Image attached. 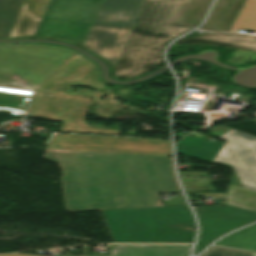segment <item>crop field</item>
I'll list each match as a JSON object with an SVG mask.
<instances>
[{
	"label": "crop field",
	"mask_w": 256,
	"mask_h": 256,
	"mask_svg": "<svg viewBox=\"0 0 256 256\" xmlns=\"http://www.w3.org/2000/svg\"><path fill=\"white\" fill-rule=\"evenodd\" d=\"M42 158L61 166L70 212L163 206L157 193L180 191L169 157L47 150Z\"/></svg>",
	"instance_id": "1"
},
{
	"label": "crop field",
	"mask_w": 256,
	"mask_h": 256,
	"mask_svg": "<svg viewBox=\"0 0 256 256\" xmlns=\"http://www.w3.org/2000/svg\"><path fill=\"white\" fill-rule=\"evenodd\" d=\"M190 0H145L114 67L113 77L134 78L157 67L164 46L192 28L179 26Z\"/></svg>",
	"instance_id": "2"
},
{
	"label": "crop field",
	"mask_w": 256,
	"mask_h": 256,
	"mask_svg": "<svg viewBox=\"0 0 256 256\" xmlns=\"http://www.w3.org/2000/svg\"><path fill=\"white\" fill-rule=\"evenodd\" d=\"M89 62L77 53L71 56L36 89L27 116L56 119L62 122L60 131L119 135L122 130L96 129L83 121L92 97L68 95L70 83L105 87L95 82L99 70Z\"/></svg>",
	"instance_id": "3"
},
{
	"label": "crop field",
	"mask_w": 256,
	"mask_h": 256,
	"mask_svg": "<svg viewBox=\"0 0 256 256\" xmlns=\"http://www.w3.org/2000/svg\"><path fill=\"white\" fill-rule=\"evenodd\" d=\"M115 243H192L194 234L164 229L173 222L194 226L187 206L101 211Z\"/></svg>",
	"instance_id": "4"
},
{
	"label": "crop field",
	"mask_w": 256,
	"mask_h": 256,
	"mask_svg": "<svg viewBox=\"0 0 256 256\" xmlns=\"http://www.w3.org/2000/svg\"><path fill=\"white\" fill-rule=\"evenodd\" d=\"M144 0H103L82 46L114 67Z\"/></svg>",
	"instance_id": "5"
},
{
	"label": "crop field",
	"mask_w": 256,
	"mask_h": 256,
	"mask_svg": "<svg viewBox=\"0 0 256 256\" xmlns=\"http://www.w3.org/2000/svg\"><path fill=\"white\" fill-rule=\"evenodd\" d=\"M102 0H50L34 37L81 45Z\"/></svg>",
	"instance_id": "6"
},
{
	"label": "crop field",
	"mask_w": 256,
	"mask_h": 256,
	"mask_svg": "<svg viewBox=\"0 0 256 256\" xmlns=\"http://www.w3.org/2000/svg\"><path fill=\"white\" fill-rule=\"evenodd\" d=\"M46 149L169 156L170 141L55 134Z\"/></svg>",
	"instance_id": "7"
},
{
	"label": "crop field",
	"mask_w": 256,
	"mask_h": 256,
	"mask_svg": "<svg viewBox=\"0 0 256 256\" xmlns=\"http://www.w3.org/2000/svg\"><path fill=\"white\" fill-rule=\"evenodd\" d=\"M217 139L225 144L212 163L233 168L231 185L256 191V137L231 129Z\"/></svg>",
	"instance_id": "8"
},
{
	"label": "crop field",
	"mask_w": 256,
	"mask_h": 256,
	"mask_svg": "<svg viewBox=\"0 0 256 256\" xmlns=\"http://www.w3.org/2000/svg\"><path fill=\"white\" fill-rule=\"evenodd\" d=\"M200 222V235L194 254L218 236L256 221V212L226 205V207H194Z\"/></svg>",
	"instance_id": "9"
},
{
	"label": "crop field",
	"mask_w": 256,
	"mask_h": 256,
	"mask_svg": "<svg viewBox=\"0 0 256 256\" xmlns=\"http://www.w3.org/2000/svg\"><path fill=\"white\" fill-rule=\"evenodd\" d=\"M49 0H25L9 38L33 37Z\"/></svg>",
	"instance_id": "10"
},
{
	"label": "crop field",
	"mask_w": 256,
	"mask_h": 256,
	"mask_svg": "<svg viewBox=\"0 0 256 256\" xmlns=\"http://www.w3.org/2000/svg\"><path fill=\"white\" fill-rule=\"evenodd\" d=\"M246 0H217L211 14L200 28L211 31H230Z\"/></svg>",
	"instance_id": "11"
},
{
	"label": "crop field",
	"mask_w": 256,
	"mask_h": 256,
	"mask_svg": "<svg viewBox=\"0 0 256 256\" xmlns=\"http://www.w3.org/2000/svg\"><path fill=\"white\" fill-rule=\"evenodd\" d=\"M191 245H115L108 256H186Z\"/></svg>",
	"instance_id": "12"
},
{
	"label": "crop field",
	"mask_w": 256,
	"mask_h": 256,
	"mask_svg": "<svg viewBox=\"0 0 256 256\" xmlns=\"http://www.w3.org/2000/svg\"><path fill=\"white\" fill-rule=\"evenodd\" d=\"M183 43L221 44L256 51V36H242L240 34L233 33H216L202 37L186 38L177 41L173 45Z\"/></svg>",
	"instance_id": "13"
},
{
	"label": "crop field",
	"mask_w": 256,
	"mask_h": 256,
	"mask_svg": "<svg viewBox=\"0 0 256 256\" xmlns=\"http://www.w3.org/2000/svg\"><path fill=\"white\" fill-rule=\"evenodd\" d=\"M223 143L215 140L211 144L193 136H185L179 144H176L177 152L211 163Z\"/></svg>",
	"instance_id": "14"
},
{
	"label": "crop field",
	"mask_w": 256,
	"mask_h": 256,
	"mask_svg": "<svg viewBox=\"0 0 256 256\" xmlns=\"http://www.w3.org/2000/svg\"><path fill=\"white\" fill-rule=\"evenodd\" d=\"M24 0H0V37L8 38Z\"/></svg>",
	"instance_id": "15"
},
{
	"label": "crop field",
	"mask_w": 256,
	"mask_h": 256,
	"mask_svg": "<svg viewBox=\"0 0 256 256\" xmlns=\"http://www.w3.org/2000/svg\"><path fill=\"white\" fill-rule=\"evenodd\" d=\"M215 245L256 251V225L234 233Z\"/></svg>",
	"instance_id": "16"
},
{
	"label": "crop field",
	"mask_w": 256,
	"mask_h": 256,
	"mask_svg": "<svg viewBox=\"0 0 256 256\" xmlns=\"http://www.w3.org/2000/svg\"><path fill=\"white\" fill-rule=\"evenodd\" d=\"M211 2L212 0H191L180 25L197 27L201 23Z\"/></svg>",
	"instance_id": "17"
},
{
	"label": "crop field",
	"mask_w": 256,
	"mask_h": 256,
	"mask_svg": "<svg viewBox=\"0 0 256 256\" xmlns=\"http://www.w3.org/2000/svg\"><path fill=\"white\" fill-rule=\"evenodd\" d=\"M251 29L256 31V0H247L231 31Z\"/></svg>",
	"instance_id": "18"
},
{
	"label": "crop field",
	"mask_w": 256,
	"mask_h": 256,
	"mask_svg": "<svg viewBox=\"0 0 256 256\" xmlns=\"http://www.w3.org/2000/svg\"><path fill=\"white\" fill-rule=\"evenodd\" d=\"M4 50L30 54L35 56H41L46 58H52L57 60L66 61L72 54H69L64 51L51 49V48H42V47H22V48H0Z\"/></svg>",
	"instance_id": "19"
},
{
	"label": "crop field",
	"mask_w": 256,
	"mask_h": 256,
	"mask_svg": "<svg viewBox=\"0 0 256 256\" xmlns=\"http://www.w3.org/2000/svg\"><path fill=\"white\" fill-rule=\"evenodd\" d=\"M202 256H251V253L212 246Z\"/></svg>",
	"instance_id": "20"
},
{
	"label": "crop field",
	"mask_w": 256,
	"mask_h": 256,
	"mask_svg": "<svg viewBox=\"0 0 256 256\" xmlns=\"http://www.w3.org/2000/svg\"><path fill=\"white\" fill-rule=\"evenodd\" d=\"M256 60V52L239 49L228 60L230 63H245Z\"/></svg>",
	"instance_id": "21"
},
{
	"label": "crop field",
	"mask_w": 256,
	"mask_h": 256,
	"mask_svg": "<svg viewBox=\"0 0 256 256\" xmlns=\"http://www.w3.org/2000/svg\"><path fill=\"white\" fill-rule=\"evenodd\" d=\"M21 46H41V45H7V46H0V47H21ZM43 47H51V48H56V49H60V50H64L67 52H70L72 54H74L75 52L60 48V47H56V46H43Z\"/></svg>",
	"instance_id": "22"
},
{
	"label": "crop field",
	"mask_w": 256,
	"mask_h": 256,
	"mask_svg": "<svg viewBox=\"0 0 256 256\" xmlns=\"http://www.w3.org/2000/svg\"><path fill=\"white\" fill-rule=\"evenodd\" d=\"M188 223H173V226H164L165 228H169V227H181V228H185V232H189L190 233V228L187 227Z\"/></svg>",
	"instance_id": "23"
},
{
	"label": "crop field",
	"mask_w": 256,
	"mask_h": 256,
	"mask_svg": "<svg viewBox=\"0 0 256 256\" xmlns=\"http://www.w3.org/2000/svg\"><path fill=\"white\" fill-rule=\"evenodd\" d=\"M0 256H32V255H23V254H14V253H4V254H0Z\"/></svg>",
	"instance_id": "24"
}]
</instances>
